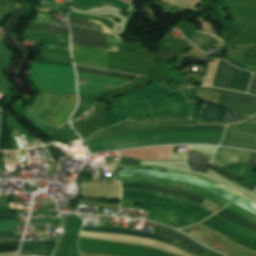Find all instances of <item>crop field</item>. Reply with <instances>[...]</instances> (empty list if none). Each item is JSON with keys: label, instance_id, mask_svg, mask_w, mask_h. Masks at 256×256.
I'll use <instances>...</instances> for the list:
<instances>
[{"label": "crop field", "instance_id": "crop-field-44", "mask_svg": "<svg viewBox=\"0 0 256 256\" xmlns=\"http://www.w3.org/2000/svg\"><path fill=\"white\" fill-rule=\"evenodd\" d=\"M23 235L13 236L12 231L0 232V239L22 237Z\"/></svg>", "mask_w": 256, "mask_h": 256}, {"label": "crop field", "instance_id": "crop-field-40", "mask_svg": "<svg viewBox=\"0 0 256 256\" xmlns=\"http://www.w3.org/2000/svg\"><path fill=\"white\" fill-rule=\"evenodd\" d=\"M26 222L14 223V220L0 221V231L11 230L10 225H21Z\"/></svg>", "mask_w": 256, "mask_h": 256}, {"label": "crop field", "instance_id": "crop-field-38", "mask_svg": "<svg viewBox=\"0 0 256 256\" xmlns=\"http://www.w3.org/2000/svg\"><path fill=\"white\" fill-rule=\"evenodd\" d=\"M20 242L0 244V253L17 251Z\"/></svg>", "mask_w": 256, "mask_h": 256}, {"label": "crop field", "instance_id": "crop-field-13", "mask_svg": "<svg viewBox=\"0 0 256 256\" xmlns=\"http://www.w3.org/2000/svg\"><path fill=\"white\" fill-rule=\"evenodd\" d=\"M39 92L37 99L30 108L37 117L45 122L66 94L43 91Z\"/></svg>", "mask_w": 256, "mask_h": 256}, {"label": "crop field", "instance_id": "crop-field-39", "mask_svg": "<svg viewBox=\"0 0 256 256\" xmlns=\"http://www.w3.org/2000/svg\"><path fill=\"white\" fill-rule=\"evenodd\" d=\"M165 42L170 44V45H172V46H174V47H176V48H179V49L183 50L184 47L186 46V44L189 41H187L186 39H183L181 41H177L175 39H172V38L168 37Z\"/></svg>", "mask_w": 256, "mask_h": 256}, {"label": "crop field", "instance_id": "crop-field-18", "mask_svg": "<svg viewBox=\"0 0 256 256\" xmlns=\"http://www.w3.org/2000/svg\"><path fill=\"white\" fill-rule=\"evenodd\" d=\"M76 102V96L67 94L64 100L61 102V104L58 106V108L54 111V113L49 117V119L46 122L59 126L68 118V116L76 106Z\"/></svg>", "mask_w": 256, "mask_h": 256}, {"label": "crop field", "instance_id": "crop-field-28", "mask_svg": "<svg viewBox=\"0 0 256 256\" xmlns=\"http://www.w3.org/2000/svg\"><path fill=\"white\" fill-rule=\"evenodd\" d=\"M218 214L228 218L229 220L237 223L238 225L256 233V224L246 220L245 218L227 210V209H222Z\"/></svg>", "mask_w": 256, "mask_h": 256}, {"label": "crop field", "instance_id": "crop-field-50", "mask_svg": "<svg viewBox=\"0 0 256 256\" xmlns=\"http://www.w3.org/2000/svg\"><path fill=\"white\" fill-rule=\"evenodd\" d=\"M251 161L256 162V153H254L253 158H252ZM253 162H250L248 166L256 168V163H253ZM253 176L256 177L255 175H253Z\"/></svg>", "mask_w": 256, "mask_h": 256}, {"label": "crop field", "instance_id": "crop-field-12", "mask_svg": "<svg viewBox=\"0 0 256 256\" xmlns=\"http://www.w3.org/2000/svg\"><path fill=\"white\" fill-rule=\"evenodd\" d=\"M121 176H125V175H135V174H142V175H151V176H157V177H162V178H168V179H173V180H179V181H185V182H190V183H194L197 185H200L202 187H205L229 200H233L234 198L237 197V195L226 191L224 189H221L217 186L205 183L203 181L194 179V178H189V177H183V176H177V175H172V174H168V173H164V172H160V171H156V170H129V171H120Z\"/></svg>", "mask_w": 256, "mask_h": 256}, {"label": "crop field", "instance_id": "crop-field-45", "mask_svg": "<svg viewBox=\"0 0 256 256\" xmlns=\"http://www.w3.org/2000/svg\"><path fill=\"white\" fill-rule=\"evenodd\" d=\"M38 59L72 63L71 60H67V59H59V58H51V57H43V56H39Z\"/></svg>", "mask_w": 256, "mask_h": 256}, {"label": "crop field", "instance_id": "crop-field-17", "mask_svg": "<svg viewBox=\"0 0 256 256\" xmlns=\"http://www.w3.org/2000/svg\"><path fill=\"white\" fill-rule=\"evenodd\" d=\"M58 241L24 242L19 256H52Z\"/></svg>", "mask_w": 256, "mask_h": 256}, {"label": "crop field", "instance_id": "crop-field-42", "mask_svg": "<svg viewBox=\"0 0 256 256\" xmlns=\"http://www.w3.org/2000/svg\"><path fill=\"white\" fill-rule=\"evenodd\" d=\"M180 30L183 32L184 36L188 38L189 40L195 35L196 30H193L187 26H183L180 28Z\"/></svg>", "mask_w": 256, "mask_h": 256}, {"label": "crop field", "instance_id": "crop-field-35", "mask_svg": "<svg viewBox=\"0 0 256 256\" xmlns=\"http://www.w3.org/2000/svg\"><path fill=\"white\" fill-rule=\"evenodd\" d=\"M225 208H227V209H229V210H231V211H233V212H235V213L245 217L246 219H248V220H250V221H252L254 223L256 222V216L250 214L249 212L243 210L242 208H240V207H238V206H236V205H234L232 203L229 204Z\"/></svg>", "mask_w": 256, "mask_h": 256}, {"label": "crop field", "instance_id": "crop-field-29", "mask_svg": "<svg viewBox=\"0 0 256 256\" xmlns=\"http://www.w3.org/2000/svg\"><path fill=\"white\" fill-rule=\"evenodd\" d=\"M26 30L69 35V29L61 26L30 23Z\"/></svg>", "mask_w": 256, "mask_h": 256}, {"label": "crop field", "instance_id": "crop-field-41", "mask_svg": "<svg viewBox=\"0 0 256 256\" xmlns=\"http://www.w3.org/2000/svg\"><path fill=\"white\" fill-rule=\"evenodd\" d=\"M3 111V110H2ZM5 112V111H3ZM7 113V112H5ZM11 119L14 121V123L18 126V128L22 131V133L25 135V137L29 140L30 143L34 142L33 137L31 136V134L29 132H27L18 122L17 120L13 117V115L7 113Z\"/></svg>", "mask_w": 256, "mask_h": 256}, {"label": "crop field", "instance_id": "crop-field-49", "mask_svg": "<svg viewBox=\"0 0 256 256\" xmlns=\"http://www.w3.org/2000/svg\"><path fill=\"white\" fill-rule=\"evenodd\" d=\"M249 92L256 94V80H254V79H252Z\"/></svg>", "mask_w": 256, "mask_h": 256}, {"label": "crop field", "instance_id": "crop-field-36", "mask_svg": "<svg viewBox=\"0 0 256 256\" xmlns=\"http://www.w3.org/2000/svg\"><path fill=\"white\" fill-rule=\"evenodd\" d=\"M250 77L251 73L243 70L236 90L246 92Z\"/></svg>", "mask_w": 256, "mask_h": 256}, {"label": "crop field", "instance_id": "crop-field-9", "mask_svg": "<svg viewBox=\"0 0 256 256\" xmlns=\"http://www.w3.org/2000/svg\"><path fill=\"white\" fill-rule=\"evenodd\" d=\"M197 90H212L222 92L221 102L224 106L241 115H253L256 113V96L239 92L228 91L216 88H197Z\"/></svg>", "mask_w": 256, "mask_h": 256}, {"label": "crop field", "instance_id": "crop-field-30", "mask_svg": "<svg viewBox=\"0 0 256 256\" xmlns=\"http://www.w3.org/2000/svg\"><path fill=\"white\" fill-rule=\"evenodd\" d=\"M78 74L81 77L89 78L88 81H90V82L104 84V85H108V86H117V85H122V84L128 82V81H125V80L108 78V77L97 76V75L86 74V73H80V72H78Z\"/></svg>", "mask_w": 256, "mask_h": 256}, {"label": "crop field", "instance_id": "crop-field-20", "mask_svg": "<svg viewBox=\"0 0 256 256\" xmlns=\"http://www.w3.org/2000/svg\"><path fill=\"white\" fill-rule=\"evenodd\" d=\"M202 26L205 29V31L218 36L212 24L205 21L202 24ZM190 41H192L196 46L203 47V48L205 47V45L212 44L213 42L218 43V45L222 47L224 46V41L220 37H216L214 35L208 34L200 30L197 31L196 35Z\"/></svg>", "mask_w": 256, "mask_h": 256}, {"label": "crop field", "instance_id": "crop-field-33", "mask_svg": "<svg viewBox=\"0 0 256 256\" xmlns=\"http://www.w3.org/2000/svg\"><path fill=\"white\" fill-rule=\"evenodd\" d=\"M106 88H107L106 86H102V85H98L90 82H88L86 86L79 85L80 92L96 95V96H99L102 90L103 89L105 90Z\"/></svg>", "mask_w": 256, "mask_h": 256}, {"label": "crop field", "instance_id": "crop-field-4", "mask_svg": "<svg viewBox=\"0 0 256 256\" xmlns=\"http://www.w3.org/2000/svg\"><path fill=\"white\" fill-rule=\"evenodd\" d=\"M70 24L72 26L73 44L119 52L123 41L103 23L101 25L109 50L99 21L70 17Z\"/></svg>", "mask_w": 256, "mask_h": 256}, {"label": "crop field", "instance_id": "crop-field-24", "mask_svg": "<svg viewBox=\"0 0 256 256\" xmlns=\"http://www.w3.org/2000/svg\"><path fill=\"white\" fill-rule=\"evenodd\" d=\"M201 224H203V225H205V226L211 228L212 230H214V231L220 233L221 235H223V236H225V237L231 239L232 241H234V242H236V243H238V244H240V245H242V246H244V247H246V248H249V249H251V250H253V251L256 252V248H254V247H252V246H250V245H248V244H246V243H243V242H241V241H239V240H237V239H235V238L229 236L228 234H226L225 232H223V231L220 230L219 228H221V229L227 231L228 233H230V234H232V235L238 237L239 239H241V240H243V241H245V242H247V243H249V244H251V245H253V246H255V247H256V243L251 242V241H249V240H247V239H245V238H243V237H241V236H239V235L233 233L232 231H230V230L226 229L225 227H223V226L217 224L216 222H214V221H212V220L209 219V220H207V221H205V222H203V223H201ZM209 228H208V229H209ZM220 234H219V235H220Z\"/></svg>", "mask_w": 256, "mask_h": 256}, {"label": "crop field", "instance_id": "crop-field-48", "mask_svg": "<svg viewBox=\"0 0 256 256\" xmlns=\"http://www.w3.org/2000/svg\"><path fill=\"white\" fill-rule=\"evenodd\" d=\"M16 214L0 215V220L16 219Z\"/></svg>", "mask_w": 256, "mask_h": 256}, {"label": "crop field", "instance_id": "crop-field-26", "mask_svg": "<svg viewBox=\"0 0 256 256\" xmlns=\"http://www.w3.org/2000/svg\"><path fill=\"white\" fill-rule=\"evenodd\" d=\"M76 67H77V70L80 71V72H86V73H92V74H98V75L128 79V80H131V81H134L138 77L136 75L124 74V73L107 71V70L96 69V68L85 67V66H79V65H76Z\"/></svg>", "mask_w": 256, "mask_h": 256}, {"label": "crop field", "instance_id": "crop-field-46", "mask_svg": "<svg viewBox=\"0 0 256 256\" xmlns=\"http://www.w3.org/2000/svg\"><path fill=\"white\" fill-rule=\"evenodd\" d=\"M228 61L233 63V64H235V65H237L238 67H240L242 69H246V70H250V71H253V69H254V67H252V66H248V65H245V64H242V63H239V62H235V61L229 60V59H228Z\"/></svg>", "mask_w": 256, "mask_h": 256}, {"label": "crop field", "instance_id": "crop-field-23", "mask_svg": "<svg viewBox=\"0 0 256 256\" xmlns=\"http://www.w3.org/2000/svg\"><path fill=\"white\" fill-rule=\"evenodd\" d=\"M104 3L124 10L131 6L120 0H74L73 6L81 10H89L91 7H102Z\"/></svg>", "mask_w": 256, "mask_h": 256}, {"label": "crop field", "instance_id": "crop-field-15", "mask_svg": "<svg viewBox=\"0 0 256 256\" xmlns=\"http://www.w3.org/2000/svg\"><path fill=\"white\" fill-rule=\"evenodd\" d=\"M73 54L78 63L98 66L105 68L107 54L106 51L90 49L73 45Z\"/></svg>", "mask_w": 256, "mask_h": 256}, {"label": "crop field", "instance_id": "crop-field-10", "mask_svg": "<svg viewBox=\"0 0 256 256\" xmlns=\"http://www.w3.org/2000/svg\"><path fill=\"white\" fill-rule=\"evenodd\" d=\"M253 153L220 148L214 165L242 176Z\"/></svg>", "mask_w": 256, "mask_h": 256}, {"label": "crop field", "instance_id": "crop-field-8", "mask_svg": "<svg viewBox=\"0 0 256 256\" xmlns=\"http://www.w3.org/2000/svg\"><path fill=\"white\" fill-rule=\"evenodd\" d=\"M221 145L256 150V124L241 122L228 126Z\"/></svg>", "mask_w": 256, "mask_h": 256}, {"label": "crop field", "instance_id": "crop-field-22", "mask_svg": "<svg viewBox=\"0 0 256 256\" xmlns=\"http://www.w3.org/2000/svg\"><path fill=\"white\" fill-rule=\"evenodd\" d=\"M7 118L2 117L1 130H0V150L20 149Z\"/></svg>", "mask_w": 256, "mask_h": 256}, {"label": "crop field", "instance_id": "crop-field-34", "mask_svg": "<svg viewBox=\"0 0 256 256\" xmlns=\"http://www.w3.org/2000/svg\"><path fill=\"white\" fill-rule=\"evenodd\" d=\"M218 61L209 64L208 70H207V75H206L205 82H204L205 86H212L213 85V81H214Z\"/></svg>", "mask_w": 256, "mask_h": 256}, {"label": "crop field", "instance_id": "crop-field-11", "mask_svg": "<svg viewBox=\"0 0 256 256\" xmlns=\"http://www.w3.org/2000/svg\"><path fill=\"white\" fill-rule=\"evenodd\" d=\"M122 186H123V188L137 187V188L143 189V190H149V191H154V192H160V193H165V194H170V195L181 196V197H185L190 200L196 201L202 205L205 204L207 201H209V200H207L197 194H194L190 191L156 185V184H151V183H131V184H122ZM203 206H205L215 212H217L221 208H223L211 201L207 202Z\"/></svg>", "mask_w": 256, "mask_h": 256}, {"label": "crop field", "instance_id": "crop-field-27", "mask_svg": "<svg viewBox=\"0 0 256 256\" xmlns=\"http://www.w3.org/2000/svg\"><path fill=\"white\" fill-rule=\"evenodd\" d=\"M210 219H212V220H214V221H216V222H218V223H220V224H222V225H224V226H226V227H228V228H230V229H232V230H234V231H236V232H238V233H240V234H242V235H244V236H246V237H248V238H250L254 241H256V234L255 233H252V232L238 226L237 224L229 221L228 219H226V218H224V217H222L218 214L213 216Z\"/></svg>", "mask_w": 256, "mask_h": 256}, {"label": "crop field", "instance_id": "crop-field-1", "mask_svg": "<svg viewBox=\"0 0 256 256\" xmlns=\"http://www.w3.org/2000/svg\"><path fill=\"white\" fill-rule=\"evenodd\" d=\"M181 115H191L188 99L181 89L170 92L160 82L128 97L117 99L98 130L129 118Z\"/></svg>", "mask_w": 256, "mask_h": 256}, {"label": "crop field", "instance_id": "crop-field-51", "mask_svg": "<svg viewBox=\"0 0 256 256\" xmlns=\"http://www.w3.org/2000/svg\"><path fill=\"white\" fill-rule=\"evenodd\" d=\"M8 213H12L11 210H8V211H0V214H8Z\"/></svg>", "mask_w": 256, "mask_h": 256}, {"label": "crop field", "instance_id": "crop-field-2", "mask_svg": "<svg viewBox=\"0 0 256 256\" xmlns=\"http://www.w3.org/2000/svg\"><path fill=\"white\" fill-rule=\"evenodd\" d=\"M122 198H141L154 201L134 208L149 211L147 219L166 223L179 229L194 225L214 214L182 199L148 191H123Z\"/></svg>", "mask_w": 256, "mask_h": 256}, {"label": "crop field", "instance_id": "crop-field-37", "mask_svg": "<svg viewBox=\"0 0 256 256\" xmlns=\"http://www.w3.org/2000/svg\"><path fill=\"white\" fill-rule=\"evenodd\" d=\"M233 203L253 212L256 214V204L248 201V200H245L241 197H239L237 200H235Z\"/></svg>", "mask_w": 256, "mask_h": 256}, {"label": "crop field", "instance_id": "crop-field-52", "mask_svg": "<svg viewBox=\"0 0 256 256\" xmlns=\"http://www.w3.org/2000/svg\"><path fill=\"white\" fill-rule=\"evenodd\" d=\"M3 97H4V95H3V94H0V100H2Z\"/></svg>", "mask_w": 256, "mask_h": 256}, {"label": "crop field", "instance_id": "crop-field-3", "mask_svg": "<svg viewBox=\"0 0 256 256\" xmlns=\"http://www.w3.org/2000/svg\"><path fill=\"white\" fill-rule=\"evenodd\" d=\"M225 126L198 125L191 117H163L127 122L94 135V140L145 133L204 131L223 133Z\"/></svg>", "mask_w": 256, "mask_h": 256}, {"label": "crop field", "instance_id": "crop-field-16", "mask_svg": "<svg viewBox=\"0 0 256 256\" xmlns=\"http://www.w3.org/2000/svg\"><path fill=\"white\" fill-rule=\"evenodd\" d=\"M153 232L165 235L167 237L173 238V239H175V240H177L181 243L186 244L187 247H188L189 252H191L195 256H200L201 254H203L208 249V248L196 243L195 241H193L189 237H187V236H185V235H183V234H181V233H179L175 230H172L168 227L156 225Z\"/></svg>", "mask_w": 256, "mask_h": 256}, {"label": "crop field", "instance_id": "crop-field-25", "mask_svg": "<svg viewBox=\"0 0 256 256\" xmlns=\"http://www.w3.org/2000/svg\"><path fill=\"white\" fill-rule=\"evenodd\" d=\"M231 65V64H230ZM227 64L225 61H221L215 82L213 86L222 87V88H229L233 68Z\"/></svg>", "mask_w": 256, "mask_h": 256}, {"label": "crop field", "instance_id": "crop-field-7", "mask_svg": "<svg viewBox=\"0 0 256 256\" xmlns=\"http://www.w3.org/2000/svg\"><path fill=\"white\" fill-rule=\"evenodd\" d=\"M188 234L200 240L204 244L231 256H235L232 253L238 256H256L255 252L230 241L201 224L191 230Z\"/></svg>", "mask_w": 256, "mask_h": 256}, {"label": "crop field", "instance_id": "crop-field-21", "mask_svg": "<svg viewBox=\"0 0 256 256\" xmlns=\"http://www.w3.org/2000/svg\"><path fill=\"white\" fill-rule=\"evenodd\" d=\"M82 230H90V231H102V232H112V233H120V234H127V235H133V236H140V237H146L151 238L155 240L164 241L166 243H169L173 246H176L177 242L161 236V235H155V234H148V233H142V232H136V231H130L120 228H103V227H91V226H84Z\"/></svg>", "mask_w": 256, "mask_h": 256}, {"label": "crop field", "instance_id": "crop-field-47", "mask_svg": "<svg viewBox=\"0 0 256 256\" xmlns=\"http://www.w3.org/2000/svg\"><path fill=\"white\" fill-rule=\"evenodd\" d=\"M136 15V12L134 10V8L132 9V11L129 13V15L127 16L128 17V20L126 22V27L128 28L130 22L132 21V19L134 18V16Z\"/></svg>", "mask_w": 256, "mask_h": 256}, {"label": "crop field", "instance_id": "crop-field-6", "mask_svg": "<svg viewBox=\"0 0 256 256\" xmlns=\"http://www.w3.org/2000/svg\"><path fill=\"white\" fill-rule=\"evenodd\" d=\"M220 142H221V138H216V137L185 136V137H167V138L133 140V141H125V142H117V143L92 145V146H88V147L91 152H97V151L113 150V149H120V148L148 146V145H160V144H168V143L220 144Z\"/></svg>", "mask_w": 256, "mask_h": 256}, {"label": "crop field", "instance_id": "crop-field-32", "mask_svg": "<svg viewBox=\"0 0 256 256\" xmlns=\"http://www.w3.org/2000/svg\"><path fill=\"white\" fill-rule=\"evenodd\" d=\"M94 99H95V97H91V96L80 93V105H79L77 112L74 114L72 120H74L80 114H82L87 109H89L91 104L93 103Z\"/></svg>", "mask_w": 256, "mask_h": 256}, {"label": "crop field", "instance_id": "crop-field-19", "mask_svg": "<svg viewBox=\"0 0 256 256\" xmlns=\"http://www.w3.org/2000/svg\"><path fill=\"white\" fill-rule=\"evenodd\" d=\"M185 135H204V136H216L222 137L223 134L217 133H204V132H185V133H163V134H145V135H133L105 140H98L86 143L87 145L92 144H100V143H108V142H117V141H125V140H133V139H143V138H155V137H167V136H185Z\"/></svg>", "mask_w": 256, "mask_h": 256}, {"label": "crop field", "instance_id": "crop-field-5", "mask_svg": "<svg viewBox=\"0 0 256 256\" xmlns=\"http://www.w3.org/2000/svg\"><path fill=\"white\" fill-rule=\"evenodd\" d=\"M31 75L39 89L76 94L73 68L34 63Z\"/></svg>", "mask_w": 256, "mask_h": 256}, {"label": "crop field", "instance_id": "crop-field-31", "mask_svg": "<svg viewBox=\"0 0 256 256\" xmlns=\"http://www.w3.org/2000/svg\"><path fill=\"white\" fill-rule=\"evenodd\" d=\"M21 9V2L17 0H0V12L4 13L1 19Z\"/></svg>", "mask_w": 256, "mask_h": 256}, {"label": "crop field", "instance_id": "crop-field-14", "mask_svg": "<svg viewBox=\"0 0 256 256\" xmlns=\"http://www.w3.org/2000/svg\"><path fill=\"white\" fill-rule=\"evenodd\" d=\"M117 180H119L120 182H131V181H145V182H152V183H158V184H171L173 185L174 183L177 184H181V185H185V186H189L192 187V190L194 193H197L221 206H226L228 203V201H226L225 199L207 191L204 189H201L199 187H196L194 185L191 184H187V183H182V182H174V181H168V180H163V179H158V178H153V177H148V176H134V177H121V178H115Z\"/></svg>", "mask_w": 256, "mask_h": 256}, {"label": "crop field", "instance_id": "crop-field-43", "mask_svg": "<svg viewBox=\"0 0 256 256\" xmlns=\"http://www.w3.org/2000/svg\"><path fill=\"white\" fill-rule=\"evenodd\" d=\"M240 71H241L240 69L234 68V72H233V76H232V80H231V84H230V88L229 89H232V90L235 89V86H236V83H237Z\"/></svg>", "mask_w": 256, "mask_h": 256}]
</instances>
